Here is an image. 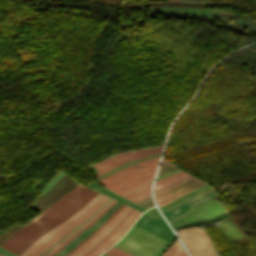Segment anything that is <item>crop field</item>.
I'll return each mask as SVG.
<instances>
[{
  "label": "crop field",
  "mask_w": 256,
  "mask_h": 256,
  "mask_svg": "<svg viewBox=\"0 0 256 256\" xmlns=\"http://www.w3.org/2000/svg\"><path fill=\"white\" fill-rule=\"evenodd\" d=\"M158 158L159 157H156L130 165L99 180V182L120 195L133 187L152 179L154 177Z\"/></svg>",
  "instance_id": "2"
},
{
  "label": "crop field",
  "mask_w": 256,
  "mask_h": 256,
  "mask_svg": "<svg viewBox=\"0 0 256 256\" xmlns=\"http://www.w3.org/2000/svg\"><path fill=\"white\" fill-rule=\"evenodd\" d=\"M129 206L125 205L98 233L92 236L89 240L75 249L71 254L68 256H76L86 247H88L92 242H94L100 235H102L128 208Z\"/></svg>",
  "instance_id": "13"
},
{
  "label": "crop field",
  "mask_w": 256,
  "mask_h": 256,
  "mask_svg": "<svg viewBox=\"0 0 256 256\" xmlns=\"http://www.w3.org/2000/svg\"><path fill=\"white\" fill-rule=\"evenodd\" d=\"M215 196L213 190H209L205 193H202L188 201H185L179 205H177L176 207L170 209L169 211L163 213L164 216L167 218V220L172 219L198 205H200L201 203L205 202L206 200H208L209 198Z\"/></svg>",
  "instance_id": "9"
},
{
  "label": "crop field",
  "mask_w": 256,
  "mask_h": 256,
  "mask_svg": "<svg viewBox=\"0 0 256 256\" xmlns=\"http://www.w3.org/2000/svg\"><path fill=\"white\" fill-rule=\"evenodd\" d=\"M187 176H189V175H187V174L183 173L182 171H180L178 173H175L173 175H170L168 177H165L163 179L155 181L154 191L159 189V188H162V187H164L166 185H169V184H171V183H173L175 181H178V180H180L182 178H185Z\"/></svg>",
  "instance_id": "14"
},
{
  "label": "crop field",
  "mask_w": 256,
  "mask_h": 256,
  "mask_svg": "<svg viewBox=\"0 0 256 256\" xmlns=\"http://www.w3.org/2000/svg\"><path fill=\"white\" fill-rule=\"evenodd\" d=\"M151 182H152V180H151V181H148V182H146V183H144V184H142V185H140L139 187H137V188H135V189H133V190H131V191H129V192H127V193L121 195V196H125V195H127V194H129V193H131V192H133V191H135V190H137L138 188H140V187H142V186H144V185H147V184H149V183H151Z\"/></svg>",
  "instance_id": "25"
},
{
  "label": "crop field",
  "mask_w": 256,
  "mask_h": 256,
  "mask_svg": "<svg viewBox=\"0 0 256 256\" xmlns=\"http://www.w3.org/2000/svg\"><path fill=\"white\" fill-rule=\"evenodd\" d=\"M88 187H90V188H92V189H94V190H97V191H99V192H102V193H104V194H106V195L112 196V197H114L115 199H117V200H119V201H121V202H123V203H125V204H127V205H130V206H132V207H134V208H136V209H138V210H141V211H144V210H145V209H143V208L137 206L136 204H134V203H132V202H130V201H128V200H126V199H124V198H122V197H120V196H118V195H116V194H114V193H112V192H110V191H108V190L102 188L101 186L97 185V184L94 183V182L90 183Z\"/></svg>",
  "instance_id": "15"
},
{
  "label": "crop field",
  "mask_w": 256,
  "mask_h": 256,
  "mask_svg": "<svg viewBox=\"0 0 256 256\" xmlns=\"http://www.w3.org/2000/svg\"><path fill=\"white\" fill-rule=\"evenodd\" d=\"M131 209V207H129L127 209V211L114 223V225L108 230L106 231L102 236H100L94 243H92L86 250H84L81 254H79L78 256H81L85 251H87L91 246H93L96 242H98L102 237H104L107 233H109L117 224L118 222L127 214V212ZM92 248V247H91Z\"/></svg>",
  "instance_id": "21"
},
{
  "label": "crop field",
  "mask_w": 256,
  "mask_h": 256,
  "mask_svg": "<svg viewBox=\"0 0 256 256\" xmlns=\"http://www.w3.org/2000/svg\"><path fill=\"white\" fill-rule=\"evenodd\" d=\"M135 225L171 242L175 237L169 226L165 223L161 216L151 219L146 214H142L136 221Z\"/></svg>",
  "instance_id": "6"
},
{
  "label": "crop field",
  "mask_w": 256,
  "mask_h": 256,
  "mask_svg": "<svg viewBox=\"0 0 256 256\" xmlns=\"http://www.w3.org/2000/svg\"><path fill=\"white\" fill-rule=\"evenodd\" d=\"M105 254H107L109 256H131V255H129L127 253H124V252H122V251H120V250H118L114 247H111L109 250H107L105 252Z\"/></svg>",
  "instance_id": "22"
},
{
  "label": "crop field",
  "mask_w": 256,
  "mask_h": 256,
  "mask_svg": "<svg viewBox=\"0 0 256 256\" xmlns=\"http://www.w3.org/2000/svg\"><path fill=\"white\" fill-rule=\"evenodd\" d=\"M190 178H192V177L189 176V177H187V178H185V179H182V180H180V181H178V182H175V183H173V184H171V185H169V186H166V187H164V188H162V189H159V190L155 191L154 194L157 193V192H159V191H162V190H164V189H166V188H169V187H171V186H174V185H176V184H178V183H181V182H183V181H185V180H188V179H190Z\"/></svg>",
  "instance_id": "24"
},
{
  "label": "crop field",
  "mask_w": 256,
  "mask_h": 256,
  "mask_svg": "<svg viewBox=\"0 0 256 256\" xmlns=\"http://www.w3.org/2000/svg\"><path fill=\"white\" fill-rule=\"evenodd\" d=\"M103 196V194L99 193L96 197H94L90 202H88L84 207H82L79 211H77L73 216H71L69 219L58 225L57 227L53 228L46 234H44L41 238H39L35 243H33L29 248H27L20 256H27L32 251H34L37 247H39L41 244H43L46 240H48L50 237H52L54 234H56L58 231H60L62 228L67 226L69 223H71L73 220H75L77 217H79L82 213H84L89 207H91L98 199H100Z\"/></svg>",
  "instance_id": "7"
},
{
  "label": "crop field",
  "mask_w": 256,
  "mask_h": 256,
  "mask_svg": "<svg viewBox=\"0 0 256 256\" xmlns=\"http://www.w3.org/2000/svg\"><path fill=\"white\" fill-rule=\"evenodd\" d=\"M123 206H124V204H123L121 207H123ZM121 207H120V208H121ZM120 208H119V209H120ZM119 209H118V210H119ZM118 210H117V211H118ZM117 211H116V212H117ZM116 212H115V213H116ZM115 213H114V214H115ZM114 214H113L111 217H109V218L106 220V222H105L101 227H99L97 230H95L93 233H91V234H90L85 240H83L79 245H81L84 241H86V240H87L88 238H90L93 234H95L97 231H99V230L114 216ZM79 245H77L75 248H77ZM75 248H74V249H75ZM74 249H73V250H74ZM73 250H71L69 253H71ZM69 253H67L65 256H67Z\"/></svg>",
  "instance_id": "23"
},
{
  "label": "crop field",
  "mask_w": 256,
  "mask_h": 256,
  "mask_svg": "<svg viewBox=\"0 0 256 256\" xmlns=\"http://www.w3.org/2000/svg\"><path fill=\"white\" fill-rule=\"evenodd\" d=\"M139 214L140 212L135 210L130 215V217L105 242H103L100 246H98L95 250H93L88 256L101 255L114 242L119 240V238L130 228V226L133 224V222L136 220Z\"/></svg>",
  "instance_id": "8"
},
{
  "label": "crop field",
  "mask_w": 256,
  "mask_h": 256,
  "mask_svg": "<svg viewBox=\"0 0 256 256\" xmlns=\"http://www.w3.org/2000/svg\"><path fill=\"white\" fill-rule=\"evenodd\" d=\"M0 256H4V255H1V254H0Z\"/></svg>",
  "instance_id": "29"
},
{
  "label": "crop field",
  "mask_w": 256,
  "mask_h": 256,
  "mask_svg": "<svg viewBox=\"0 0 256 256\" xmlns=\"http://www.w3.org/2000/svg\"><path fill=\"white\" fill-rule=\"evenodd\" d=\"M101 256H107V255L103 254V255H101Z\"/></svg>",
  "instance_id": "28"
},
{
  "label": "crop field",
  "mask_w": 256,
  "mask_h": 256,
  "mask_svg": "<svg viewBox=\"0 0 256 256\" xmlns=\"http://www.w3.org/2000/svg\"><path fill=\"white\" fill-rule=\"evenodd\" d=\"M162 256H188L178 241H175Z\"/></svg>",
  "instance_id": "16"
},
{
  "label": "crop field",
  "mask_w": 256,
  "mask_h": 256,
  "mask_svg": "<svg viewBox=\"0 0 256 256\" xmlns=\"http://www.w3.org/2000/svg\"><path fill=\"white\" fill-rule=\"evenodd\" d=\"M0 253H1V254H4V255H6V256H16V255H14V254H12V253H10V252L4 250V249H1V248H0Z\"/></svg>",
  "instance_id": "26"
},
{
  "label": "crop field",
  "mask_w": 256,
  "mask_h": 256,
  "mask_svg": "<svg viewBox=\"0 0 256 256\" xmlns=\"http://www.w3.org/2000/svg\"><path fill=\"white\" fill-rule=\"evenodd\" d=\"M148 197H150V194H148V195H146V196H144V197H142V198H140V199H138V200H136L134 202L138 203V202H140V201H142V200H144V199H146Z\"/></svg>",
  "instance_id": "27"
},
{
  "label": "crop field",
  "mask_w": 256,
  "mask_h": 256,
  "mask_svg": "<svg viewBox=\"0 0 256 256\" xmlns=\"http://www.w3.org/2000/svg\"><path fill=\"white\" fill-rule=\"evenodd\" d=\"M163 146H157L149 149H140L136 151H131L127 153L117 154L107 160H104L96 165L94 168L98 171L95 173V176L98 177L130 160L138 159L141 157L149 156L152 154L160 153L162 151Z\"/></svg>",
  "instance_id": "5"
},
{
  "label": "crop field",
  "mask_w": 256,
  "mask_h": 256,
  "mask_svg": "<svg viewBox=\"0 0 256 256\" xmlns=\"http://www.w3.org/2000/svg\"><path fill=\"white\" fill-rule=\"evenodd\" d=\"M204 231L202 227L176 230L192 256H219Z\"/></svg>",
  "instance_id": "4"
},
{
  "label": "crop field",
  "mask_w": 256,
  "mask_h": 256,
  "mask_svg": "<svg viewBox=\"0 0 256 256\" xmlns=\"http://www.w3.org/2000/svg\"><path fill=\"white\" fill-rule=\"evenodd\" d=\"M135 209H131L128 214L119 222V224L101 241H99L97 244H95L92 248H90L86 253H84L82 256H86L88 253H90L94 248H96L101 242H103L105 239H107L127 218L128 216L134 211Z\"/></svg>",
  "instance_id": "18"
},
{
  "label": "crop field",
  "mask_w": 256,
  "mask_h": 256,
  "mask_svg": "<svg viewBox=\"0 0 256 256\" xmlns=\"http://www.w3.org/2000/svg\"><path fill=\"white\" fill-rule=\"evenodd\" d=\"M108 196H103L100 200H98L91 208H89L84 214H82L79 218H77L75 221H73L71 224H69L67 227H65L63 230L58 232L56 235H54L52 238H50L48 241H46L43 245H41L39 248H37L34 252H32L29 256H36L39 252H41L44 248H46L50 243H52L54 240L59 238L61 235H63L65 232H67L69 229L74 227L76 224H78L80 221H82L86 216H88L94 209H96L104 200H106Z\"/></svg>",
  "instance_id": "11"
},
{
  "label": "crop field",
  "mask_w": 256,
  "mask_h": 256,
  "mask_svg": "<svg viewBox=\"0 0 256 256\" xmlns=\"http://www.w3.org/2000/svg\"><path fill=\"white\" fill-rule=\"evenodd\" d=\"M168 244L169 242L133 225L114 246L133 256H159Z\"/></svg>",
  "instance_id": "3"
},
{
  "label": "crop field",
  "mask_w": 256,
  "mask_h": 256,
  "mask_svg": "<svg viewBox=\"0 0 256 256\" xmlns=\"http://www.w3.org/2000/svg\"><path fill=\"white\" fill-rule=\"evenodd\" d=\"M112 200L113 199H111L109 197L95 211H93L87 218H85L81 223H79L77 226H75L74 228L69 230L67 233H65L63 236H61L59 239L54 241L52 244H50L46 249H44L37 256H46L47 254H49L53 249H55L60 243H62L64 240H66L68 237H70L72 234H74L78 229L84 227L90 220H92Z\"/></svg>",
  "instance_id": "10"
},
{
  "label": "crop field",
  "mask_w": 256,
  "mask_h": 256,
  "mask_svg": "<svg viewBox=\"0 0 256 256\" xmlns=\"http://www.w3.org/2000/svg\"><path fill=\"white\" fill-rule=\"evenodd\" d=\"M79 184L36 218L18 229L0 246L19 255L44 233L69 218L98 194Z\"/></svg>",
  "instance_id": "1"
},
{
  "label": "crop field",
  "mask_w": 256,
  "mask_h": 256,
  "mask_svg": "<svg viewBox=\"0 0 256 256\" xmlns=\"http://www.w3.org/2000/svg\"><path fill=\"white\" fill-rule=\"evenodd\" d=\"M174 169L176 168L173 165L162 159L157 177Z\"/></svg>",
  "instance_id": "19"
},
{
  "label": "crop field",
  "mask_w": 256,
  "mask_h": 256,
  "mask_svg": "<svg viewBox=\"0 0 256 256\" xmlns=\"http://www.w3.org/2000/svg\"><path fill=\"white\" fill-rule=\"evenodd\" d=\"M151 185H152V183L143 187V188H141V189H139V190H137V191H135V192H133V193H131V194H129V195H127V196H125V198H128L129 200L133 201L134 199L149 193L150 189H151Z\"/></svg>",
  "instance_id": "17"
},
{
  "label": "crop field",
  "mask_w": 256,
  "mask_h": 256,
  "mask_svg": "<svg viewBox=\"0 0 256 256\" xmlns=\"http://www.w3.org/2000/svg\"><path fill=\"white\" fill-rule=\"evenodd\" d=\"M122 203H116L101 219H99L92 227H90L86 232L78 236L74 241H72L68 246H66L62 251H60L56 256H63L71 249H73L77 244H79L83 239H85L91 232L97 229L104 221L119 207Z\"/></svg>",
  "instance_id": "12"
},
{
  "label": "crop field",
  "mask_w": 256,
  "mask_h": 256,
  "mask_svg": "<svg viewBox=\"0 0 256 256\" xmlns=\"http://www.w3.org/2000/svg\"><path fill=\"white\" fill-rule=\"evenodd\" d=\"M115 200H113L107 207H105L91 222H89L85 227L89 226L100 214H102ZM84 227V228H85ZM84 228L79 230L75 235L67 239L65 242H63L61 245H59L55 250H53L48 256H50L52 253H54L56 250H58L61 246H63L65 243H67L69 240H71L73 237H75L77 234H79Z\"/></svg>",
  "instance_id": "20"
}]
</instances>
